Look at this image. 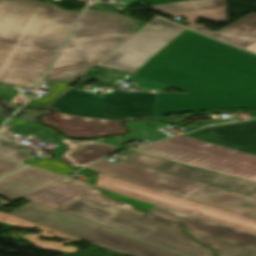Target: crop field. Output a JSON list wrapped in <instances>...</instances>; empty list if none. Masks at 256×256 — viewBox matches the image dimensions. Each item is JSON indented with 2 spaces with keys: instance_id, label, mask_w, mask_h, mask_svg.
Masks as SVG:
<instances>
[{
  "instance_id": "crop-field-1",
  "label": "crop field",
  "mask_w": 256,
  "mask_h": 256,
  "mask_svg": "<svg viewBox=\"0 0 256 256\" xmlns=\"http://www.w3.org/2000/svg\"><path fill=\"white\" fill-rule=\"evenodd\" d=\"M137 75L187 94H157L154 114L256 108V55L187 30Z\"/></svg>"
},
{
  "instance_id": "crop-field-2",
  "label": "crop field",
  "mask_w": 256,
  "mask_h": 256,
  "mask_svg": "<svg viewBox=\"0 0 256 256\" xmlns=\"http://www.w3.org/2000/svg\"><path fill=\"white\" fill-rule=\"evenodd\" d=\"M78 16L32 0H0V82L33 89L55 52L22 44L58 49Z\"/></svg>"
},
{
  "instance_id": "crop-field-3",
  "label": "crop field",
  "mask_w": 256,
  "mask_h": 256,
  "mask_svg": "<svg viewBox=\"0 0 256 256\" xmlns=\"http://www.w3.org/2000/svg\"><path fill=\"white\" fill-rule=\"evenodd\" d=\"M133 23L119 14L87 10L44 79L75 81L134 34L127 31Z\"/></svg>"
},
{
  "instance_id": "crop-field-4",
  "label": "crop field",
  "mask_w": 256,
  "mask_h": 256,
  "mask_svg": "<svg viewBox=\"0 0 256 256\" xmlns=\"http://www.w3.org/2000/svg\"><path fill=\"white\" fill-rule=\"evenodd\" d=\"M63 213L194 256H214L210 248L196 243L179 228L85 199L79 200Z\"/></svg>"
},
{
  "instance_id": "crop-field-5",
  "label": "crop field",
  "mask_w": 256,
  "mask_h": 256,
  "mask_svg": "<svg viewBox=\"0 0 256 256\" xmlns=\"http://www.w3.org/2000/svg\"><path fill=\"white\" fill-rule=\"evenodd\" d=\"M48 228L118 251L139 256H191L30 202L9 213Z\"/></svg>"
},
{
  "instance_id": "crop-field-6",
  "label": "crop field",
  "mask_w": 256,
  "mask_h": 256,
  "mask_svg": "<svg viewBox=\"0 0 256 256\" xmlns=\"http://www.w3.org/2000/svg\"><path fill=\"white\" fill-rule=\"evenodd\" d=\"M156 94L125 93L115 90L103 97L71 88L51 107L58 112L82 117L102 119H127L152 116Z\"/></svg>"
},
{
  "instance_id": "crop-field-7",
  "label": "crop field",
  "mask_w": 256,
  "mask_h": 256,
  "mask_svg": "<svg viewBox=\"0 0 256 256\" xmlns=\"http://www.w3.org/2000/svg\"><path fill=\"white\" fill-rule=\"evenodd\" d=\"M170 16L188 18V28L223 40L225 42L246 47L256 42V14L253 13L217 32L207 30L204 25L193 22L199 17L222 22L227 21L226 0H191L179 3L157 5L150 7Z\"/></svg>"
},
{
  "instance_id": "crop-field-8",
  "label": "crop field",
  "mask_w": 256,
  "mask_h": 256,
  "mask_svg": "<svg viewBox=\"0 0 256 256\" xmlns=\"http://www.w3.org/2000/svg\"><path fill=\"white\" fill-rule=\"evenodd\" d=\"M183 30L155 17L95 66L135 73Z\"/></svg>"
},
{
  "instance_id": "crop-field-9",
  "label": "crop field",
  "mask_w": 256,
  "mask_h": 256,
  "mask_svg": "<svg viewBox=\"0 0 256 256\" xmlns=\"http://www.w3.org/2000/svg\"><path fill=\"white\" fill-rule=\"evenodd\" d=\"M96 186L171 207L189 214H193L191 212L195 211L198 212L196 216L241 230L256 233V220L235 215L194 201L176 197L103 174L98 173Z\"/></svg>"
},
{
  "instance_id": "crop-field-10",
  "label": "crop field",
  "mask_w": 256,
  "mask_h": 256,
  "mask_svg": "<svg viewBox=\"0 0 256 256\" xmlns=\"http://www.w3.org/2000/svg\"><path fill=\"white\" fill-rule=\"evenodd\" d=\"M86 169L120 178L177 196H184L205 185L186 178L119 161L115 164L102 160Z\"/></svg>"
},
{
  "instance_id": "crop-field-11",
  "label": "crop field",
  "mask_w": 256,
  "mask_h": 256,
  "mask_svg": "<svg viewBox=\"0 0 256 256\" xmlns=\"http://www.w3.org/2000/svg\"><path fill=\"white\" fill-rule=\"evenodd\" d=\"M133 151L256 183L255 167L162 142L151 144Z\"/></svg>"
},
{
  "instance_id": "crop-field-12",
  "label": "crop field",
  "mask_w": 256,
  "mask_h": 256,
  "mask_svg": "<svg viewBox=\"0 0 256 256\" xmlns=\"http://www.w3.org/2000/svg\"><path fill=\"white\" fill-rule=\"evenodd\" d=\"M81 198L92 200L137 215H145V213L135 211L131 206L124 203L110 200L100 192L92 189L90 186L73 180L70 183L58 181L23 199L61 212Z\"/></svg>"
},
{
  "instance_id": "crop-field-13",
  "label": "crop field",
  "mask_w": 256,
  "mask_h": 256,
  "mask_svg": "<svg viewBox=\"0 0 256 256\" xmlns=\"http://www.w3.org/2000/svg\"><path fill=\"white\" fill-rule=\"evenodd\" d=\"M148 216L196 233L207 235L252 250H256V236L227 227L195 219L177 212L156 206Z\"/></svg>"
},
{
  "instance_id": "crop-field-14",
  "label": "crop field",
  "mask_w": 256,
  "mask_h": 256,
  "mask_svg": "<svg viewBox=\"0 0 256 256\" xmlns=\"http://www.w3.org/2000/svg\"><path fill=\"white\" fill-rule=\"evenodd\" d=\"M182 136L256 155V120L209 127Z\"/></svg>"
},
{
  "instance_id": "crop-field-15",
  "label": "crop field",
  "mask_w": 256,
  "mask_h": 256,
  "mask_svg": "<svg viewBox=\"0 0 256 256\" xmlns=\"http://www.w3.org/2000/svg\"><path fill=\"white\" fill-rule=\"evenodd\" d=\"M65 92H63L61 95H63ZM61 95L54 99L50 104L57 100ZM50 104H48L47 107ZM42 120L56 126L68 136L73 137H94L104 134L124 132V129L121 127L118 121L82 118L60 114L57 113V111L55 115L45 116L42 118Z\"/></svg>"
},
{
  "instance_id": "crop-field-16",
  "label": "crop field",
  "mask_w": 256,
  "mask_h": 256,
  "mask_svg": "<svg viewBox=\"0 0 256 256\" xmlns=\"http://www.w3.org/2000/svg\"><path fill=\"white\" fill-rule=\"evenodd\" d=\"M206 205L226 210L245 217L256 219V199L235 194L211 186H203L184 196ZM242 203L255 206L253 209L241 206Z\"/></svg>"
},
{
  "instance_id": "crop-field-17",
  "label": "crop field",
  "mask_w": 256,
  "mask_h": 256,
  "mask_svg": "<svg viewBox=\"0 0 256 256\" xmlns=\"http://www.w3.org/2000/svg\"><path fill=\"white\" fill-rule=\"evenodd\" d=\"M62 178L27 168L0 179V196L14 202Z\"/></svg>"
},
{
  "instance_id": "crop-field-18",
  "label": "crop field",
  "mask_w": 256,
  "mask_h": 256,
  "mask_svg": "<svg viewBox=\"0 0 256 256\" xmlns=\"http://www.w3.org/2000/svg\"><path fill=\"white\" fill-rule=\"evenodd\" d=\"M158 169L256 197V184L166 161Z\"/></svg>"
},
{
  "instance_id": "crop-field-19",
  "label": "crop field",
  "mask_w": 256,
  "mask_h": 256,
  "mask_svg": "<svg viewBox=\"0 0 256 256\" xmlns=\"http://www.w3.org/2000/svg\"><path fill=\"white\" fill-rule=\"evenodd\" d=\"M57 137L66 147L65 154L60 160L75 167H84L120 149L94 141H71L61 135Z\"/></svg>"
},
{
  "instance_id": "crop-field-20",
  "label": "crop field",
  "mask_w": 256,
  "mask_h": 256,
  "mask_svg": "<svg viewBox=\"0 0 256 256\" xmlns=\"http://www.w3.org/2000/svg\"><path fill=\"white\" fill-rule=\"evenodd\" d=\"M0 222L7 224V225H11L17 228H20L22 230L28 229L34 225H36L40 230H42L41 234H27L25 236H22L20 238L27 240L31 243H33L34 245H36L37 247L40 248H46V249H52V250H57V251H61V252H67V253H74L77 252V248L76 246L73 247H64L62 246L63 243H68L71 242L73 240L79 241L81 239L48 229L46 227L40 226L38 224L26 221L24 219L3 213L0 211ZM39 235H43L45 238H49V237H56V238H69L70 240L65 241V242H60V243H55V242H50V241H40L38 239Z\"/></svg>"
},
{
  "instance_id": "crop-field-21",
  "label": "crop field",
  "mask_w": 256,
  "mask_h": 256,
  "mask_svg": "<svg viewBox=\"0 0 256 256\" xmlns=\"http://www.w3.org/2000/svg\"><path fill=\"white\" fill-rule=\"evenodd\" d=\"M163 142L256 167V156L197 141L194 139L179 136L176 138L164 140Z\"/></svg>"
},
{
  "instance_id": "crop-field-22",
  "label": "crop field",
  "mask_w": 256,
  "mask_h": 256,
  "mask_svg": "<svg viewBox=\"0 0 256 256\" xmlns=\"http://www.w3.org/2000/svg\"><path fill=\"white\" fill-rule=\"evenodd\" d=\"M184 231L192 235L197 241H200L213 248L217 252V256H246L252 251L237 245L196 234L190 231Z\"/></svg>"
},
{
  "instance_id": "crop-field-23",
  "label": "crop field",
  "mask_w": 256,
  "mask_h": 256,
  "mask_svg": "<svg viewBox=\"0 0 256 256\" xmlns=\"http://www.w3.org/2000/svg\"><path fill=\"white\" fill-rule=\"evenodd\" d=\"M125 124L131 128L129 134L125 136L113 138L121 145L130 142L131 139L144 140L148 138L154 141L156 139L162 138V136H160L159 134L155 133L154 131H152L151 129L147 128L146 126L142 125L137 121L129 122Z\"/></svg>"
},
{
  "instance_id": "crop-field-24",
  "label": "crop field",
  "mask_w": 256,
  "mask_h": 256,
  "mask_svg": "<svg viewBox=\"0 0 256 256\" xmlns=\"http://www.w3.org/2000/svg\"><path fill=\"white\" fill-rule=\"evenodd\" d=\"M9 131H15L18 133H24L29 136H36L45 139V141H54L52 137L54 132L51 129L40 127L38 125H23V126H5L0 130V134L3 135Z\"/></svg>"
},
{
  "instance_id": "crop-field-25",
  "label": "crop field",
  "mask_w": 256,
  "mask_h": 256,
  "mask_svg": "<svg viewBox=\"0 0 256 256\" xmlns=\"http://www.w3.org/2000/svg\"><path fill=\"white\" fill-rule=\"evenodd\" d=\"M25 164L32 165L38 168H42L48 171H52L61 175H68L76 169L60 163L56 160L37 159L32 157L31 159L24 162Z\"/></svg>"
},
{
  "instance_id": "crop-field-26",
  "label": "crop field",
  "mask_w": 256,
  "mask_h": 256,
  "mask_svg": "<svg viewBox=\"0 0 256 256\" xmlns=\"http://www.w3.org/2000/svg\"><path fill=\"white\" fill-rule=\"evenodd\" d=\"M72 83H59V82H46V86L48 89H51L48 94L41 96L39 99H33L26 106H36L43 107L57 95H59L62 91H64L69 85Z\"/></svg>"
},
{
  "instance_id": "crop-field-27",
  "label": "crop field",
  "mask_w": 256,
  "mask_h": 256,
  "mask_svg": "<svg viewBox=\"0 0 256 256\" xmlns=\"http://www.w3.org/2000/svg\"><path fill=\"white\" fill-rule=\"evenodd\" d=\"M0 156L19 162L28 157V154L21 152L12 141L0 136Z\"/></svg>"
},
{
  "instance_id": "crop-field-28",
  "label": "crop field",
  "mask_w": 256,
  "mask_h": 256,
  "mask_svg": "<svg viewBox=\"0 0 256 256\" xmlns=\"http://www.w3.org/2000/svg\"><path fill=\"white\" fill-rule=\"evenodd\" d=\"M97 189L102 191L103 193H105L111 199L121 201V202H124V203H127V204H133L136 209H139L141 211H145L147 213L155 207L154 205L146 204V203L141 202V201L136 200V199L128 198V197L118 195V194H115V193H112V192H109V191H105V190H102V189H99V188H97Z\"/></svg>"
},
{
  "instance_id": "crop-field-29",
  "label": "crop field",
  "mask_w": 256,
  "mask_h": 256,
  "mask_svg": "<svg viewBox=\"0 0 256 256\" xmlns=\"http://www.w3.org/2000/svg\"><path fill=\"white\" fill-rule=\"evenodd\" d=\"M47 112H49V111L25 110L21 116H19L17 118H12L7 123V125L35 124L36 123L35 117L39 114H43V113H47ZM41 126H43V125H41Z\"/></svg>"
},
{
  "instance_id": "crop-field-30",
  "label": "crop field",
  "mask_w": 256,
  "mask_h": 256,
  "mask_svg": "<svg viewBox=\"0 0 256 256\" xmlns=\"http://www.w3.org/2000/svg\"><path fill=\"white\" fill-rule=\"evenodd\" d=\"M125 160L137 162V163L155 167V168H158L161 164H163L166 161V160H162V159H158V158H154V157H150V156H146L138 153L132 154L130 157H128Z\"/></svg>"
},
{
  "instance_id": "crop-field-31",
  "label": "crop field",
  "mask_w": 256,
  "mask_h": 256,
  "mask_svg": "<svg viewBox=\"0 0 256 256\" xmlns=\"http://www.w3.org/2000/svg\"><path fill=\"white\" fill-rule=\"evenodd\" d=\"M130 81L136 83V84H139V85H142V86H145L149 89H153V90H164L166 88H168L167 86L165 85H162L160 83H157V82H154L152 80H149V79H146V78H143V77H140V76H137V75H134Z\"/></svg>"
},
{
  "instance_id": "crop-field-32",
  "label": "crop field",
  "mask_w": 256,
  "mask_h": 256,
  "mask_svg": "<svg viewBox=\"0 0 256 256\" xmlns=\"http://www.w3.org/2000/svg\"><path fill=\"white\" fill-rule=\"evenodd\" d=\"M22 167H24V166L10 162V161L0 159V177L4 176L6 174H9L15 170H18Z\"/></svg>"
},
{
  "instance_id": "crop-field-33",
  "label": "crop field",
  "mask_w": 256,
  "mask_h": 256,
  "mask_svg": "<svg viewBox=\"0 0 256 256\" xmlns=\"http://www.w3.org/2000/svg\"><path fill=\"white\" fill-rule=\"evenodd\" d=\"M19 92H16L14 88L7 87V86H1L0 85V98L9 101L14 96H16Z\"/></svg>"
},
{
  "instance_id": "crop-field-34",
  "label": "crop field",
  "mask_w": 256,
  "mask_h": 256,
  "mask_svg": "<svg viewBox=\"0 0 256 256\" xmlns=\"http://www.w3.org/2000/svg\"><path fill=\"white\" fill-rule=\"evenodd\" d=\"M140 1L152 6L157 4L172 3V2H178V1H184V0H140Z\"/></svg>"
},
{
  "instance_id": "crop-field-35",
  "label": "crop field",
  "mask_w": 256,
  "mask_h": 256,
  "mask_svg": "<svg viewBox=\"0 0 256 256\" xmlns=\"http://www.w3.org/2000/svg\"><path fill=\"white\" fill-rule=\"evenodd\" d=\"M94 141H98V142H102V143L109 144V145H112V146L120 147V146H118L117 144H115L110 138H107V139H98V140H94ZM120 148H121V147H120Z\"/></svg>"
},
{
  "instance_id": "crop-field-36",
  "label": "crop field",
  "mask_w": 256,
  "mask_h": 256,
  "mask_svg": "<svg viewBox=\"0 0 256 256\" xmlns=\"http://www.w3.org/2000/svg\"><path fill=\"white\" fill-rule=\"evenodd\" d=\"M245 49H248L250 51L256 52V43H254L253 45H251V46H249V47H247Z\"/></svg>"
},
{
  "instance_id": "crop-field-37",
  "label": "crop field",
  "mask_w": 256,
  "mask_h": 256,
  "mask_svg": "<svg viewBox=\"0 0 256 256\" xmlns=\"http://www.w3.org/2000/svg\"><path fill=\"white\" fill-rule=\"evenodd\" d=\"M3 111V110H2ZM7 117H5L3 114H2V112H1V110H0V126L2 125V123L4 122V120L6 119Z\"/></svg>"
},
{
  "instance_id": "crop-field-38",
  "label": "crop field",
  "mask_w": 256,
  "mask_h": 256,
  "mask_svg": "<svg viewBox=\"0 0 256 256\" xmlns=\"http://www.w3.org/2000/svg\"><path fill=\"white\" fill-rule=\"evenodd\" d=\"M25 45H29V44H25ZM30 46H34V45H30ZM35 47H39V46H35ZM40 48H44V49H49V50L57 51V50H55V49H50V48H45V47H40Z\"/></svg>"
},
{
  "instance_id": "crop-field-39",
  "label": "crop field",
  "mask_w": 256,
  "mask_h": 256,
  "mask_svg": "<svg viewBox=\"0 0 256 256\" xmlns=\"http://www.w3.org/2000/svg\"><path fill=\"white\" fill-rule=\"evenodd\" d=\"M252 88H254V87H252ZM248 89H250V88H248ZM235 92H238V91H235Z\"/></svg>"
},
{
  "instance_id": "crop-field-40",
  "label": "crop field",
  "mask_w": 256,
  "mask_h": 256,
  "mask_svg": "<svg viewBox=\"0 0 256 256\" xmlns=\"http://www.w3.org/2000/svg\"><path fill=\"white\" fill-rule=\"evenodd\" d=\"M1 109V108H0Z\"/></svg>"
}]
</instances>
